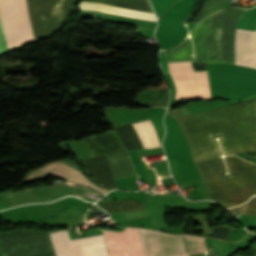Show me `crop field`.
Segmentation results:
<instances>
[{"mask_svg":"<svg viewBox=\"0 0 256 256\" xmlns=\"http://www.w3.org/2000/svg\"><path fill=\"white\" fill-rule=\"evenodd\" d=\"M6 51H8V48H7L5 33H4V29H3V25L0 17V54Z\"/></svg>","mask_w":256,"mask_h":256,"instance_id":"crop-field-15","label":"crop field"},{"mask_svg":"<svg viewBox=\"0 0 256 256\" xmlns=\"http://www.w3.org/2000/svg\"><path fill=\"white\" fill-rule=\"evenodd\" d=\"M57 256H109L103 235L69 240L67 231L50 234Z\"/></svg>","mask_w":256,"mask_h":256,"instance_id":"crop-field-5","label":"crop field"},{"mask_svg":"<svg viewBox=\"0 0 256 256\" xmlns=\"http://www.w3.org/2000/svg\"><path fill=\"white\" fill-rule=\"evenodd\" d=\"M47 173L53 174L55 176L61 177L69 181H73L76 183H80V184L92 187L93 189H95L96 191L100 192L103 195L108 192L106 190L99 188L96 184L91 182L89 179H87L77 170L73 169L72 167L68 166L67 164L61 161L50 163L33 172L28 173V175L25 177L24 180L37 177L40 175H44Z\"/></svg>","mask_w":256,"mask_h":256,"instance_id":"crop-field-8","label":"crop field"},{"mask_svg":"<svg viewBox=\"0 0 256 256\" xmlns=\"http://www.w3.org/2000/svg\"><path fill=\"white\" fill-rule=\"evenodd\" d=\"M139 177V176H138Z\"/></svg>","mask_w":256,"mask_h":256,"instance_id":"crop-field-18","label":"crop field"},{"mask_svg":"<svg viewBox=\"0 0 256 256\" xmlns=\"http://www.w3.org/2000/svg\"><path fill=\"white\" fill-rule=\"evenodd\" d=\"M103 232L110 256H144L137 228L126 227L123 232Z\"/></svg>","mask_w":256,"mask_h":256,"instance_id":"crop-field-7","label":"crop field"},{"mask_svg":"<svg viewBox=\"0 0 256 256\" xmlns=\"http://www.w3.org/2000/svg\"><path fill=\"white\" fill-rule=\"evenodd\" d=\"M195 161L220 156L211 134L220 133L222 154L256 150V100L175 117Z\"/></svg>","mask_w":256,"mask_h":256,"instance_id":"crop-field-1","label":"crop field"},{"mask_svg":"<svg viewBox=\"0 0 256 256\" xmlns=\"http://www.w3.org/2000/svg\"><path fill=\"white\" fill-rule=\"evenodd\" d=\"M254 50L255 32L237 29L235 43L236 64L254 68Z\"/></svg>","mask_w":256,"mask_h":256,"instance_id":"crop-field-9","label":"crop field"},{"mask_svg":"<svg viewBox=\"0 0 256 256\" xmlns=\"http://www.w3.org/2000/svg\"><path fill=\"white\" fill-rule=\"evenodd\" d=\"M154 8V11L159 17L166 9H168L172 4L178 0H150Z\"/></svg>","mask_w":256,"mask_h":256,"instance_id":"crop-field-14","label":"crop field"},{"mask_svg":"<svg viewBox=\"0 0 256 256\" xmlns=\"http://www.w3.org/2000/svg\"><path fill=\"white\" fill-rule=\"evenodd\" d=\"M79 8L81 10H98V11L116 14L120 16L156 21L155 14L150 12L129 10V9L117 8V7L107 6V5L89 4V3H80Z\"/></svg>","mask_w":256,"mask_h":256,"instance_id":"crop-field-10","label":"crop field"},{"mask_svg":"<svg viewBox=\"0 0 256 256\" xmlns=\"http://www.w3.org/2000/svg\"><path fill=\"white\" fill-rule=\"evenodd\" d=\"M246 214H256V196L251 198Z\"/></svg>","mask_w":256,"mask_h":256,"instance_id":"crop-field-17","label":"crop field"},{"mask_svg":"<svg viewBox=\"0 0 256 256\" xmlns=\"http://www.w3.org/2000/svg\"><path fill=\"white\" fill-rule=\"evenodd\" d=\"M232 178L224 180L226 172L222 158L194 163L212 199L223 207L245 202L256 190V164L235 156L225 157Z\"/></svg>","mask_w":256,"mask_h":256,"instance_id":"crop-field-3","label":"crop field"},{"mask_svg":"<svg viewBox=\"0 0 256 256\" xmlns=\"http://www.w3.org/2000/svg\"><path fill=\"white\" fill-rule=\"evenodd\" d=\"M186 245L190 255L207 251L204 238L185 235Z\"/></svg>","mask_w":256,"mask_h":256,"instance_id":"crop-field-13","label":"crop field"},{"mask_svg":"<svg viewBox=\"0 0 256 256\" xmlns=\"http://www.w3.org/2000/svg\"><path fill=\"white\" fill-rule=\"evenodd\" d=\"M108 213H126L145 210L143 204L137 200L112 202L110 199L100 205Z\"/></svg>","mask_w":256,"mask_h":256,"instance_id":"crop-field-12","label":"crop field"},{"mask_svg":"<svg viewBox=\"0 0 256 256\" xmlns=\"http://www.w3.org/2000/svg\"><path fill=\"white\" fill-rule=\"evenodd\" d=\"M176 87L175 99H195L194 70L190 61L168 62ZM196 99L209 98L206 71L195 72Z\"/></svg>","mask_w":256,"mask_h":256,"instance_id":"crop-field-4","label":"crop field"},{"mask_svg":"<svg viewBox=\"0 0 256 256\" xmlns=\"http://www.w3.org/2000/svg\"><path fill=\"white\" fill-rule=\"evenodd\" d=\"M168 113H170L171 115L175 116V115H181V114L190 113V110L187 107V105H185V106L179 107V108H177L175 110L168 111Z\"/></svg>","mask_w":256,"mask_h":256,"instance_id":"crop-field-16","label":"crop field"},{"mask_svg":"<svg viewBox=\"0 0 256 256\" xmlns=\"http://www.w3.org/2000/svg\"><path fill=\"white\" fill-rule=\"evenodd\" d=\"M139 229L145 256H183L188 255L182 235Z\"/></svg>","mask_w":256,"mask_h":256,"instance_id":"crop-field-6","label":"crop field"},{"mask_svg":"<svg viewBox=\"0 0 256 256\" xmlns=\"http://www.w3.org/2000/svg\"><path fill=\"white\" fill-rule=\"evenodd\" d=\"M145 148L161 147L150 120L132 124Z\"/></svg>","mask_w":256,"mask_h":256,"instance_id":"crop-field-11","label":"crop field"},{"mask_svg":"<svg viewBox=\"0 0 256 256\" xmlns=\"http://www.w3.org/2000/svg\"><path fill=\"white\" fill-rule=\"evenodd\" d=\"M35 39L57 29L73 0H26ZM25 0H0L8 48L34 40ZM63 22V21H62Z\"/></svg>","mask_w":256,"mask_h":256,"instance_id":"crop-field-2","label":"crop field"}]
</instances>
